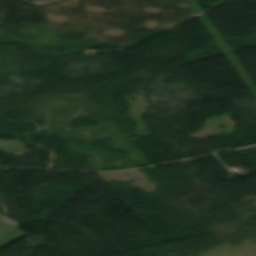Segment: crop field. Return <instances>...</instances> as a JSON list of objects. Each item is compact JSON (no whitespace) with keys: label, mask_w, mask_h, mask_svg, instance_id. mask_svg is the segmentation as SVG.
<instances>
[{"label":"crop field","mask_w":256,"mask_h":256,"mask_svg":"<svg viewBox=\"0 0 256 256\" xmlns=\"http://www.w3.org/2000/svg\"><path fill=\"white\" fill-rule=\"evenodd\" d=\"M26 235L0 220V248L24 237Z\"/></svg>","instance_id":"crop-field-1"},{"label":"crop field","mask_w":256,"mask_h":256,"mask_svg":"<svg viewBox=\"0 0 256 256\" xmlns=\"http://www.w3.org/2000/svg\"><path fill=\"white\" fill-rule=\"evenodd\" d=\"M1 216V215H0ZM1 218V217H0ZM1 219H3V218H1ZM4 221H6L5 219H3ZM6 222H8V221H6ZM8 223H10V222H8ZM11 225H13L12 223H10ZM13 226H15V225H13ZM16 227V226H15Z\"/></svg>","instance_id":"crop-field-2"}]
</instances>
